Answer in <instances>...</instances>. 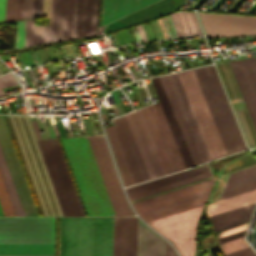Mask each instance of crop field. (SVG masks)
Here are the masks:
<instances>
[{
    "instance_id": "1",
    "label": "crop field",
    "mask_w": 256,
    "mask_h": 256,
    "mask_svg": "<svg viewBox=\"0 0 256 256\" xmlns=\"http://www.w3.org/2000/svg\"><path fill=\"white\" fill-rule=\"evenodd\" d=\"M116 215H133L103 136L88 137ZM88 215H114L86 137L60 139Z\"/></svg>"
},
{
    "instance_id": "2",
    "label": "crop field",
    "mask_w": 256,
    "mask_h": 256,
    "mask_svg": "<svg viewBox=\"0 0 256 256\" xmlns=\"http://www.w3.org/2000/svg\"><path fill=\"white\" fill-rule=\"evenodd\" d=\"M227 154L247 149L213 65L194 69ZM194 70L178 73L211 159L226 156Z\"/></svg>"
},
{
    "instance_id": "3",
    "label": "crop field",
    "mask_w": 256,
    "mask_h": 256,
    "mask_svg": "<svg viewBox=\"0 0 256 256\" xmlns=\"http://www.w3.org/2000/svg\"><path fill=\"white\" fill-rule=\"evenodd\" d=\"M113 217H60L59 256H112Z\"/></svg>"
},
{
    "instance_id": "4",
    "label": "crop field",
    "mask_w": 256,
    "mask_h": 256,
    "mask_svg": "<svg viewBox=\"0 0 256 256\" xmlns=\"http://www.w3.org/2000/svg\"><path fill=\"white\" fill-rule=\"evenodd\" d=\"M213 179L133 203L145 222L189 209L206 202ZM185 194H182L184 193ZM194 202V203H191Z\"/></svg>"
},
{
    "instance_id": "5",
    "label": "crop field",
    "mask_w": 256,
    "mask_h": 256,
    "mask_svg": "<svg viewBox=\"0 0 256 256\" xmlns=\"http://www.w3.org/2000/svg\"><path fill=\"white\" fill-rule=\"evenodd\" d=\"M64 215H84L57 139L36 140Z\"/></svg>"
},
{
    "instance_id": "6",
    "label": "crop field",
    "mask_w": 256,
    "mask_h": 256,
    "mask_svg": "<svg viewBox=\"0 0 256 256\" xmlns=\"http://www.w3.org/2000/svg\"><path fill=\"white\" fill-rule=\"evenodd\" d=\"M165 173L185 169L160 103L140 110Z\"/></svg>"
},
{
    "instance_id": "7",
    "label": "crop field",
    "mask_w": 256,
    "mask_h": 256,
    "mask_svg": "<svg viewBox=\"0 0 256 256\" xmlns=\"http://www.w3.org/2000/svg\"><path fill=\"white\" fill-rule=\"evenodd\" d=\"M120 118H123V116ZM120 118H117L111 121L113 126L104 127V128L116 127V125L118 127V128H112V129H106V130H107L115 157L117 159L118 165L120 167L121 173L123 175L124 181L127 184L130 182L147 178L148 176L146 174V171L144 169V166L142 164V161L140 159V156L138 154V151L132 139V136L129 132L125 119L124 118L120 119ZM115 120H118V121H115ZM113 121H115L116 125L114 124ZM116 159H115V162H116ZM117 162H116V165H117ZM119 167H118V170H119ZM120 170H119V173H120ZM122 175H121V178H122ZM123 178H122V182L124 186H128V185L135 184V183L149 179L147 178L144 180H140V181L125 185Z\"/></svg>"
},
{
    "instance_id": "8",
    "label": "crop field",
    "mask_w": 256,
    "mask_h": 256,
    "mask_svg": "<svg viewBox=\"0 0 256 256\" xmlns=\"http://www.w3.org/2000/svg\"><path fill=\"white\" fill-rule=\"evenodd\" d=\"M54 217L0 218V243H53Z\"/></svg>"
},
{
    "instance_id": "9",
    "label": "crop field",
    "mask_w": 256,
    "mask_h": 256,
    "mask_svg": "<svg viewBox=\"0 0 256 256\" xmlns=\"http://www.w3.org/2000/svg\"><path fill=\"white\" fill-rule=\"evenodd\" d=\"M204 205L147 222L167 236L181 256H193L195 230Z\"/></svg>"
},
{
    "instance_id": "10",
    "label": "crop field",
    "mask_w": 256,
    "mask_h": 256,
    "mask_svg": "<svg viewBox=\"0 0 256 256\" xmlns=\"http://www.w3.org/2000/svg\"><path fill=\"white\" fill-rule=\"evenodd\" d=\"M198 14L207 37L256 34V16Z\"/></svg>"
},
{
    "instance_id": "11",
    "label": "crop field",
    "mask_w": 256,
    "mask_h": 256,
    "mask_svg": "<svg viewBox=\"0 0 256 256\" xmlns=\"http://www.w3.org/2000/svg\"><path fill=\"white\" fill-rule=\"evenodd\" d=\"M0 144L26 216L38 215L22 173L3 116H0Z\"/></svg>"
},
{
    "instance_id": "12",
    "label": "crop field",
    "mask_w": 256,
    "mask_h": 256,
    "mask_svg": "<svg viewBox=\"0 0 256 256\" xmlns=\"http://www.w3.org/2000/svg\"><path fill=\"white\" fill-rule=\"evenodd\" d=\"M135 113H136V115H137V118H138L139 123H140V125H141V128H142V130H143V133H144V135H145V138H146V140H147V143H148V145H149V148H150V150H151V153H152V155H153V158H154L155 163H156V165H157V168H158V170H159V173H160V175L162 176V175H164L165 173H164V171H163V168H162V166H161V163H160V161H159V158H158V156H157V153H156V151H155V148H154V146H153V143H152V141H151V138H150V136H149V133H148V131H147V128H146V126H145V123H144V121H143V118H142V116H141V113H140L139 110L136 111ZM135 113L133 112V113H130V114H128V115H125V119H126V121H127V124H128V126H129V129H130V131H131V134H132V136H133V139H134V141H135V144H136V146H137V149H138V151H139V154H140V156H141V159H142L143 164H144V166H145V168H146V171H147V173H148L149 178L151 179V178L159 177L160 175H159V173H158V170H157V168H156V165H155V163H154V160H153V158H152V155H151V153H150V150H149V148H148V145H147V143H146V140H145V138H144V135H143V133H142V130H141V128H140V125H139V123H138V120H137V118H136Z\"/></svg>"
},
{
    "instance_id": "13",
    "label": "crop field",
    "mask_w": 256,
    "mask_h": 256,
    "mask_svg": "<svg viewBox=\"0 0 256 256\" xmlns=\"http://www.w3.org/2000/svg\"><path fill=\"white\" fill-rule=\"evenodd\" d=\"M229 63L256 128V57Z\"/></svg>"
},
{
    "instance_id": "14",
    "label": "crop field",
    "mask_w": 256,
    "mask_h": 256,
    "mask_svg": "<svg viewBox=\"0 0 256 256\" xmlns=\"http://www.w3.org/2000/svg\"><path fill=\"white\" fill-rule=\"evenodd\" d=\"M136 217H114L113 256H136Z\"/></svg>"
},
{
    "instance_id": "15",
    "label": "crop field",
    "mask_w": 256,
    "mask_h": 256,
    "mask_svg": "<svg viewBox=\"0 0 256 256\" xmlns=\"http://www.w3.org/2000/svg\"><path fill=\"white\" fill-rule=\"evenodd\" d=\"M52 1L53 0H51L49 36H50ZM74 8H75V0H54L53 1L50 41L72 37ZM48 43H50L49 37H48Z\"/></svg>"
},
{
    "instance_id": "16",
    "label": "crop field",
    "mask_w": 256,
    "mask_h": 256,
    "mask_svg": "<svg viewBox=\"0 0 256 256\" xmlns=\"http://www.w3.org/2000/svg\"><path fill=\"white\" fill-rule=\"evenodd\" d=\"M168 76L170 78L171 84H172L173 89L175 91L176 97H177L178 102L180 104L181 110H182L183 115L185 117L186 123L188 125L191 136L193 138V141L195 143V146H196V149L198 151L201 162L203 163V162L210 161L211 160L210 156L208 154L207 148H206L205 143L203 141L202 135H201L200 130L198 128V125L196 123L195 117H194L193 112L191 110V107L189 105V102H188V99H187L186 94L184 92V89L182 87L179 76H178L177 73L170 74Z\"/></svg>"
},
{
    "instance_id": "17",
    "label": "crop field",
    "mask_w": 256,
    "mask_h": 256,
    "mask_svg": "<svg viewBox=\"0 0 256 256\" xmlns=\"http://www.w3.org/2000/svg\"><path fill=\"white\" fill-rule=\"evenodd\" d=\"M97 9H98V0L92 1V11H91V0L76 1L73 38L88 36L90 11H91V21H90L89 36L95 34Z\"/></svg>"
},
{
    "instance_id": "18",
    "label": "crop field",
    "mask_w": 256,
    "mask_h": 256,
    "mask_svg": "<svg viewBox=\"0 0 256 256\" xmlns=\"http://www.w3.org/2000/svg\"><path fill=\"white\" fill-rule=\"evenodd\" d=\"M254 188H256V165L232 172L219 199L242 193Z\"/></svg>"
},
{
    "instance_id": "19",
    "label": "crop field",
    "mask_w": 256,
    "mask_h": 256,
    "mask_svg": "<svg viewBox=\"0 0 256 256\" xmlns=\"http://www.w3.org/2000/svg\"><path fill=\"white\" fill-rule=\"evenodd\" d=\"M157 0H102L100 26Z\"/></svg>"
},
{
    "instance_id": "20",
    "label": "crop field",
    "mask_w": 256,
    "mask_h": 256,
    "mask_svg": "<svg viewBox=\"0 0 256 256\" xmlns=\"http://www.w3.org/2000/svg\"><path fill=\"white\" fill-rule=\"evenodd\" d=\"M151 80H152L153 85H154V87H155L156 93H157V95H158V98H159L160 103H161V105H162V108H163V110H164V113H165V115H166V118H167V120H168V123H169V125H170V128H171V130H172V133H173V135H174V137H175V140H176V142H177V145H178V147H179V150H180V152H181V155H182V157H183V160H184V162H185V165H186V167L188 168V167L192 166L193 164H192L191 159H190V157H189V154H188V152H187L186 146H185V144H184V141H183V139H182V136H181V134H180V131H179V129H178V126H177V124H176L175 118H174V116H173V113H172V111H171V108H170V106H169V103H168V101H167V98H166V96H165V93H164V90H163L162 85H161V83H160V80H159L158 77L152 78Z\"/></svg>"
},
{
    "instance_id": "21",
    "label": "crop field",
    "mask_w": 256,
    "mask_h": 256,
    "mask_svg": "<svg viewBox=\"0 0 256 256\" xmlns=\"http://www.w3.org/2000/svg\"><path fill=\"white\" fill-rule=\"evenodd\" d=\"M137 256H164V240L138 221Z\"/></svg>"
},
{
    "instance_id": "22",
    "label": "crop field",
    "mask_w": 256,
    "mask_h": 256,
    "mask_svg": "<svg viewBox=\"0 0 256 256\" xmlns=\"http://www.w3.org/2000/svg\"><path fill=\"white\" fill-rule=\"evenodd\" d=\"M254 204L210 216L209 218L215 231L217 232L230 226L247 222L251 216V211H253Z\"/></svg>"
},
{
    "instance_id": "23",
    "label": "crop field",
    "mask_w": 256,
    "mask_h": 256,
    "mask_svg": "<svg viewBox=\"0 0 256 256\" xmlns=\"http://www.w3.org/2000/svg\"><path fill=\"white\" fill-rule=\"evenodd\" d=\"M169 16L178 37L203 34L193 12L178 11Z\"/></svg>"
},
{
    "instance_id": "24",
    "label": "crop field",
    "mask_w": 256,
    "mask_h": 256,
    "mask_svg": "<svg viewBox=\"0 0 256 256\" xmlns=\"http://www.w3.org/2000/svg\"><path fill=\"white\" fill-rule=\"evenodd\" d=\"M0 255H53V244H0Z\"/></svg>"
},
{
    "instance_id": "25",
    "label": "crop field",
    "mask_w": 256,
    "mask_h": 256,
    "mask_svg": "<svg viewBox=\"0 0 256 256\" xmlns=\"http://www.w3.org/2000/svg\"><path fill=\"white\" fill-rule=\"evenodd\" d=\"M256 201V190L223 199L208 205V215H214L240 206H244Z\"/></svg>"
},
{
    "instance_id": "26",
    "label": "crop field",
    "mask_w": 256,
    "mask_h": 256,
    "mask_svg": "<svg viewBox=\"0 0 256 256\" xmlns=\"http://www.w3.org/2000/svg\"><path fill=\"white\" fill-rule=\"evenodd\" d=\"M208 170L209 169H208L207 165H204V166L197 167V168H194L191 170L175 173V174L163 177V178H159V179H156V180H153L150 182H146V183L134 186V187L127 188L126 189L127 195L129 196V195H132L135 193H139V192H142V191H145V190L157 187V186H161V185H164V184L176 181V180H180V179H183V178H186V177L198 174V173H202V172H205Z\"/></svg>"
},
{
    "instance_id": "27",
    "label": "crop field",
    "mask_w": 256,
    "mask_h": 256,
    "mask_svg": "<svg viewBox=\"0 0 256 256\" xmlns=\"http://www.w3.org/2000/svg\"><path fill=\"white\" fill-rule=\"evenodd\" d=\"M0 173L16 216H25L0 147Z\"/></svg>"
},
{
    "instance_id": "28",
    "label": "crop field",
    "mask_w": 256,
    "mask_h": 256,
    "mask_svg": "<svg viewBox=\"0 0 256 256\" xmlns=\"http://www.w3.org/2000/svg\"><path fill=\"white\" fill-rule=\"evenodd\" d=\"M209 176H212L210 171L207 172V173L200 174V175H197V176H194V177H191V178H187V179H184V180H181V181H178V182H174V183L162 186V187H158V188H155V189H152V190H149V191H145V192H142V193H139V194H136V195H132V196H129L128 198L131 201V200L138 199V198H141V197H144V196H147V195H151V194H154V193H157V192H160V191H164V190L176 187V186H180V185H183V184H186V183H189V182H193V181H196V180H199V179H202V178H206V177H209Z\"/></svg>"
},
{
    "instance_id": "29",
    "label": "crop field",
    "mask_w": 256,
    "mask_h": 256,
    "mask_svg": "<svg viewBox=\"0 0 256 256\" xmlns=\"http://www.w3.org/2000/svg\"><path fill=\"white\" fill-rule=\"evenodd\" d=\"M247 224L248 222L239 227L223 231L221 234L217 236L219 244L243 237L247 229Z\"/></svg>"
},
{
    "instance_id": "30",
    "label": "crop field",
    "mask_w": 256,
    "mask_h": 256,
    "mask_svg": "<svg viewBox=\"0 0 256 256\" xmlns=\"http://www.w3.org/2000/svg\"><path fill=\"white\" fill-rule=\"evenodd\" d=\"M22 0H7L5 22L20 19Z\"/></svg>"
},
{
    "instance_id": "31",
    "label": "crop field",
    "mask_w": 256,
    "mask_h": 256,
    "mask_svg": "<svg viewBox=\"0 0 256 256\" xmlns=\"http://www.w3.org/2000/svg\"><path fill=\"white\" fill-rule=\"evenodd\" d=\"M0 206L4 216H15L0 175Z\"/></svg>"
},
{
    "instance_id": "32",
    "label": "crop field",
    "mask_w": 256,
    "mask_h": 256,
    "mask_svg": "<svg viewBox=\"0 0 256 256\" xmlns=\"http://www.w3.org/2000/svg\"><path fill=\"white\" fill-rule=\"evenodd\" d=\"M220 246H221L224 254L226 255L228 253H231L233 251H236L238 249L246 247V246H248V244L243 238H240V239H237L234 241H230V242L221 244Z\"/></svg>"
},
{
    "instance_id": "33",
    "label": "crop field",
    "mask_w": 256,
    "mask_h": 256,
    "mask_svg": "<svg viewBox=\"0 0 256 256\" xmlns=\"http://www.w3.org/2000/svg\"><path fill=\"white\" fill-rule=\"evenodd\" d=\"M48 25L35 26L33 45L47 43Z\"/></svg>"
},
{
    "instance_id": "34",
    "label": "crop field",
    "mask_w": 256,
    "mask_h": 256,
    "mask_svg": "<svg viewBox=\"0 0 256 256\" xmlns=\"http://www.w3.org/2000/svg\"><path fill=\"white\" fill-rule=\"evenodd\" d=\"M34 19L26 20L24 47L32 45Z\"/></svg>"
},
{
    "instance_id": "35",
    "label": "crop field",
    "mask_w": 256,
    "mask_h": 256,
    "mask_svg": "<svg viewBox=\"0 0 256 256\" xmlns=\"http://www.w3.org/2000/svg\"><path fill=\"white\" fill-rule=\"evenodd\" d=\"M24 26L25 20L18 22L15 48L23 47Z\"/></svg>"
},
{
    "instance_id": "36",
    "label": "crop field",
    "mask_w": 256,
    "mask_h": 256,
    "mask_svg": "<svg viewBox=\"0 0 256 256\" xmlns=\"http://www.w3.org/2000/svg\"><path fill=\"white\" fill-rule=\"evenodd\" d=\"M33 0H23L21 19L31 18Z\"/></svg>"
},
{
    "instance_id": "37",
    "label": "crop field",
    "mask_w": 256,
    "mask_h": 256,
    "mask_svg": "<svg viewBox=\"0 0 256 256\" xmlns=\"http://www.w3.org/2000/svg\"><path fill=\"white\" fill-rule=\"evenodd\" d=\"M16 84L17 82L11 73L0 77L1 88L11 86V85H16Z\"/></svg>"
},
{
    "instance_id": "38",
    "label": "crop field",
    "mask_w": 256,
    "mask_h": 256,
    "mask_svg": "<svg viewBox=\"0 0 256 256\" xmlns=\"http://www.w3.org/2000/svg\"><path fill=\"white\" fill-rule=\"evenodd\" d=\"M226 256H256V255L254 254L250 246H248L246 248H243L241 250H238Z\"/></svg>"
},
{
    "instance_id": "39",
    "label": "crop field",
    "mask_w": 256,
    "mask_h": 256,
    "mask_svg": "<svg viewBox=\"0 0 256 256\" xmlns=\"http://www.w3.org/2000/svg\"><path fill=\"white\" fill-rule=\"evenodd\" d=\"M42 0H34L32 18L41 16Z\"/></svg>"
},
{
    "instance_id": "40",
    "label": "crop field",
    "mask_w": 256,
    "mask_h": 256,
    "mask_svg": "<svg viewBox=\"0 0 256 256\" xmlns=\"http://www.w3.org/2000/svg\"><path fill=\"white\" fill-rule=\"evenodd\" d=\"M165 256H177L171 245L165 240Z\"/></svg>"
},
{
    "instance_id": "41",
    "label": "crop field",
    "mask_w": 256,
    "mask_h": 256,
    "mask_svg": "<svg viewBox=\"0 0 256 256\" xmlns=\"http://www.w3.org/2000/svg\"><path fill=\"white\" fill-rule=\"evenodd\" d=\"M6 0H0V23L4 22Z\"/></svg>"
},
{
    "instance_id": "42",
    "label": "crop field",
    "mask_w": 256,
    "mask_h": 256,
    "mask_svg": "<svg viewBox=\"0 0 256 256\" xmlns=\"http://www.w3.org/2000/svg\"><path fill=\"white\" fill-rule=\"evenodd\" d=\"M49 10H50V0H43L42 16L49 15Z\"/></svg>"
},
{
    "instance_id": "43",
    "label": "crop field",
    "mask_w": 256,
    "mask_h": 256,
    "mask_svg": "<svg viewBox=\"0 0 256 256\" xmlns=\"http://www.w3.org/2000/svg\"><path fill=\"white\" fill-rule=\"evenodd\" d=\"M31 122H32V126H33V129H34L36 138H41L37 122L36 121H31Z\"/></svg>"
},
{
    "instance_id": "44",
    "label": "crop field",
    "mask_w": 256,
    "mask_h": 256,
    "mask_svg": "<svg viewBox=\"0 0 256 256\" xmlns=\"http://www.w3.org/2000/svg\"><path fill=\"white\" fill-rule=\"evenodd\" d=\"M161 19H162V21H163V24H164V27H165V29H166V32H167L168 37H169V38L173 37L172 34H171V31H170V29H169V26H168V24H167V22H166L165 17L163 16V17H161Z\"/></svg>"
},
{
    "instance_id": "45",
    "label": "crop field",
    "mask_w": 256,
    "mask_h": 256,
    "mask_svg": "<svg viewBox=\"0 0 256 256\" xmlns=\"http://www.w3.org/2000/svg\"><path fill=\"white\" fill-rule=\"evenodd\" d=\"M136 27H137V29L139 31L141 39L142 40H147L142 25H137Z\"/></svg>"
},
{
    "instance_id": "46",
    "label": "crop field",
    "mask_w": 256,
    "mask_h": 256,
    "mask_svg": "<svg viewBox=\"0 0 256 256\" xmlns=\"http://www.w3.org/2000/svg\"><path fill=\"white\" fill-rule=\"evenodd\" d=\"M131 29H132V31H133V33H134V35H135L136 40H137V41H141V40H140V37H139V35H138V33H137L136 27L134 26V27H132Z\"/></svg>"
},
{
    "instance_id": "47",
    "label": "crop field",
    "mask_w": 256,
    "mask_h": 256,
    "mask_svg": "<svg viewBox=\"0 0 256 256\" xmlns=\"http://www.w3.org/2000/svg\"><path fill=\"white\" fill-rule=\"evenodd\" d=\"M48 128H49L50 136H51V137H55L52 128H51V127H48Z\"/></svg>"
},
{
    "instance_id": "48",
    "label": "crop field",
    "mask_w": 256,
    "mask_h": 256,
    "mask_svg": "<svg viewBox=\"0 0 256 256\" xmlns=\"http://www.w3.org/2000/svg\"><path fill=\"white\" fill-rule=\"evenodd\" d=\"M52 128H53V130H54V133H55L56 137H59L57 128H56V127H52Z\"/></svg>"
},
{
    "instance_id": "49",
    "label": "crop field",
    "mask_w": 256,
    "mask_h": 256,
    "mask_svg": "<svg viewBox=\"0 0 256 256\" xmlns=\"http://www.w3.org/2000/svg\"><path fill=\"white\" fill-rule=\"evenodd\" d=\"M5 96L4 92L0 89V97Z\"/></svg>"
},
{
    "instance_id": "50",
    "label": "crop field",
    "mask_w": 256,
    "mask_h": 256,
    "mask_svg": "<svg viewBox=\"0 0 256 256\" xmlns=\"http://www.w3.org/2000/svg\"><path fill=\"white\" fill-rule=\"evenodd\" d=\"M0 207H1V206H0ZM0 216H3V215H2V212H1V209H0Z\"/></svg>"
},
{
    "instance_id": "51",
    "label": "crop field",
    "mask_w": 256,
    "mask_h": 256,
    "mask_svg": "<svg viewBox=\"0 0 256 256\" xmlns=\"http://www.w3.org/2000/svg\"><path fill=\"white\" fill-rule=\"evenodd\" d=\"M253 48H254V50H255V52H256V46H254Z\"/></svg>"
},
{
    "instance_id": "52",
    "label": "crop field",
    "mask_w": 256,
    "mask_h": 256,
    "mask_svg": "<svg viewBox=\"0 0 256 256\" xmlns=\"http://www.w3.org/2000/svg\"><path fill=\"white\" fill-rule=\"evenodd\" d=\"M206 256H212L211 254H209V255H206Z\"/></svg>"
}]
</instances>
